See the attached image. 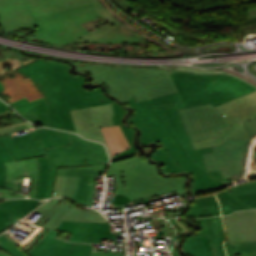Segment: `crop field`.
Wrapping results in <instances>:
<instances>
[{
    "label": "crop field",
    "instance_id": "crop-field-1",
    "mask_svg": "<svg viewBox=\"0 0 256 256\" xmlns=\"http://www.w3.org/2000/svg\"><path fill=\"white\" fill-rule=\"evenodd\" d=\"M47 62V63H45ZM70 67L59 62L38 59L22 68V76H30L32 82L44 97L29 102L22 98L12 104L21 116L43 126L75 131L69 110L112 103L115 125L120 124L131 148L112 157V161L133 156L136 149L133 144L135 130L124 126L121 119L127 113L121 105L106 97L101 87L88 92L84 89L87 78L72 75ZM48 103V105H46Z\"/></svg>",
    "mask_w": 256,
    "mask_h": 256
},
{
    "label": "crop field",
    "instance_id": "crop-field-2",
    "mask_svg": "<svg viewBox=\"0 0 256 256\" xmlns=\"http://www.w3.org/2000/svg\"><path fill=\"white\" fill-rule=\"evenodd\" d=\"M101 16L116 27L121 23L99 0H0V25L6 31L37 27V37L45 43L58 46L90 41L135 44L140 40L118 27L105 26L89 33L80 24Z\"/></svg>",
    "mask_w": 256,
    "mask_h": 256
},
{
    "label": "crop field",
    "instance_id": "crop-field-3",
    "mask_svg": "<svg viewBox=\"0 0 256 256\" xmlns=\"http://www.w3.org/2000/svg\"><path fill=\"white\" fill-rule=\"evenodd\" d=\"M181 102L178 93H172L135 103L134 97L126 103L137 114L130 120L141 129V144L159 141L161 147L151 158L165 165V171L194 174L193 193L202 194L224 187L231 178L222 179L219 171L207 172L203 153L212 152V147L194 150L177 107L156 110L155 106Z\"/></svg>",
    "mask_w": 256,
    "mask_h": 256
},
{
    "label": "crop field",
    "instance_id": "crop-field-4",
    "mask_svg": "<svg viewBox=\"0 0 256 256\" xmlns=\"http://www.w3.org/2000/svg\"><path fill=\"white\" fill-rule=\"evenodd\" d=\"M150 150L140 148L134 157L111 163L107 176L117 175L112 206L174 191L180 198L187 196L185 176L165 178L158 173L156 165L145 162L143 156Z\"/></svg>",
    "mask_w": 256,
    "mask_h": 256
},
{
    "label": "crop field",
    "instance_id": "crop-field-5",
    "mask_svg": "<svg viewBox=\"0 0 256 256\" xmlns=\"http://www.w3.org/2000/svg\"><path fill=\"white\" fill-rule=\"evenodd\" d=\"M76 71L90 73L93 84L104 82L110 94L125 103L133 94L140 101L177 91L169 76L171 71L163 69L87 65L76 67Z\"/></svg>",
    "mask_w": 256,
    "mask_h": 256
},
{
    "label": "crop field",
    "instance_id": "crop-field-6",
    "mask_svg": "<svg viewBox=\"0 0 256 256\" xmlns=\"http://www.w3.org/2000/svg\"><path fill=\"white\" fill-rule=\"evenodd\" d=\"M182 103L156 107L178 106L179 109L211 103L214 107L255 91L251 84L227 74L195 75L183 72L170 74ZM217 81H213V80Z\"/></svg>",
    "mask_w": 256,
    "mask_h": 256
},
{
    "label": "crop field",
    "instance_id": "crop-field-7",
    "mask_svg": "<svg viewBox=\"0 0 256 256\" xmlns=\"http://www.w3.org/2000/svg\"><path fill=\"white\" fill-rule=\"evenodd\" d=\"M72 145L46 149L51 166L48 196L52 197L57 168L108 163L104 146L71 134Z\"/></svg>",
    "mask_w": 256,
    "mask_h": 256
},
{
    "label": "crop field",
    "instance_id": "crop-field-8",
    "mask_svg": "<svg viewBox=\"0 0 256 256\" xmlns=\"http://www.w3.org/2000/svg\"><path fill=\"white\" fill-rule=\"evenodd\" d=\"M0 141L16 160L44 156L47 155L44 148L71 144L69 133L41 127L17 137L11 134L0 136Z\"/></svg>",
    "mask_w": 256,
    "mask_h": 256
},
{
    "label": "crop field",
    "instance_id": "crop-field-9",
    "mask_svg": "<svg viewBox=\"0 0 256 256\" xmlns=\"http://www.w3.org/2000/svg\"><path fill=\"white\" fill-rule=\"evenodd\" d=\"M219 113L232 126L220 129V137L192 143L194 148H203L221 144L228 137L249 139L242 121L256 117V91L216 107Z\"/></svg>",
    "mask_w": 256,
    "mask_h": 256
},
{
    "label": "crop field",
    "instance_id": "crop-field-10",
    "mask_svg": "<svg viewBox=\"0 0 256 256\" xmlns=\"http://www.w3.org/2000/svg\"><path fill=\"white\" fill-rule=\"evenodd\" d=\"M192 142L219 136V128L230 126L211 105L179 110Z\"/></svg>",
    "mask_w": 256,
    "mask_h": 256
},
{
    "label": "crop field",
    "instance_id": "crop-field-11",
    "mask_svg": "<svg viewBox=\"0 0 256 256\" xmlns=\"http://www.w3.org/2000/svg\"><path fill=\"white\" fill-rule=\"evenodd\" d=\"M61 198H52L35 212L42 214L33 224L56 230L62 220L109 222L99 211H82L61 203Z\"/></svg>",
    "mask_w": 256,
    "mask_h": 256
},
{
    "label": "crop field",
    "instance_id": "crop-field-12",
    "mask_svg": "<svg viewBox=\"0 0 256 256\" xmlns=\"http://www.w3.org/2000/svg\"><path fill=\"white\" fill-rule=\"evenodd\" d=\"M70 113L78 134L106 145L100 127L114 125L111 104L73 110Z\"/></svg>",
    "mask_w": 256,
    "mask_h": 256
},
{
    "label": "crop field",
    "instance_id": "crop-field-13",
    "mask_svg": "<svg viewBox=\"0 0 256 256\" xmlns=\"http://www.w3.org/2000/svg\"><path fill=\"white\" fill-rule=\"evenodd\" d=\"M249 140L228 138L219 146L213 147V153L205 154V165L208 171L220 170L222 177L239 174L242 150Z\"/></svg>",
    "mask_w": 256,
    "mask_h": 256
},
{
    "label": "crop field",
    "instance_id": "crop-field-14",
    "mask_svg": "<svg viewBox=\"0 0 256 256\" xmlns=\"http://www.w3.org/2000/svg\"><path fill=\"white\" fill-rule=\"evenodd\" d=\"M107 165L60 168L57 175L80 177L74 200L91 206L95 184L93 177L103 173Z\"/></svg>",
    "mask_w": 256,
    "mask_h": 256
},
{
    "label": "crop field",
    "instance_id": "crop-field-15",
    "mask_svg": "<svg viewBox=\"0 0 256 256\" xmlns=\"http://www.w3.org/2000/svg\"><path fill=\"white\" fill-rule=\"evenodd\" d=\"M58 229L73 233L69 240L73 242L98 243L100 238H115L108 223L62 221Z\"/></svg>",
    "mask_w": 256,
    "mask_h": 256
},
{
    "label": "crop field",
    "instance_id": "crop-field-16",
    "mask_svg": "<svg viewBox=\"0 0 256 256\" xmlns=\"http://www.w3.org/2000/svg\"><path fill=\"white\" fill-rule=\"evenodd\" d=\"M223 216L230 242L256 241V210Z\"/></svg>",
    "mask_w": 256,
    "mask_h": 256
},
{
    "label": "crop field",
    "instance_id": "crop-field-17",
    "mask_svg": "<svg viewBox=\"0 0 256 256\" xmlns=\"http://www.w3.org/2000/svg\"><path fill=\"white\" fill-rule=\"evenodd\" d=\"M188 221L200 223L203 230L200 234H208L214 256H226L223 240L225 238L221 216L206 219H191Z\"/></svg>",
    "mask_w": 256,
    "mask_h": 256
},
{
    "label": "crop field",
    "instance_id": "crop-field-18",
    "mask_svg": "<svg viewBox=\"0 0 256 256\" xmlns=\"http://www.w3.org/2000/svg\"><path fill=\"white\" fill-rule=\"evenodd\" d=\"M56 231L46 237V239L29 256H67L75 243L63 242L55 239Z\"/></svg>",
    "mask_w": 256,
    "mask_h": 256
},
{
    "label": "crop field",
    "instance_id": "crop-field-19",
    "mask_svg": "<svg viewBox=\"0 0 256 256\" xmlns=\"http://www.w3.org/2000/svg\"><path fill=\"white\" fill-rule=\"evenodd\" d=\"M101 130L103 132L111 156H114L115 154L130 148L119 125L104 127L101 128Z\"/></svg>",
    "mask_w": 256,
    "mask_h": 256
},
{
    "label": "crop field",
    "instance_id": "crop-field-20",
    "mask_svg": "<svg viewBox=\"0 0 256 256\" xmlns=\"http://www.w3.org/2000/svg\"><path fill=\"white\" fill-rule=\"evenodd\" d=\"M43 202L33 199H12L0 203V209L22 218Z\"/></svg>",
    "mask_w": 256,
    "mask_h": 256
},
{
    "label": "crop field",
    "instance_id": "crop-field-21",
    "mask_svg": "<svg viewBox=\"0 0 256 256\" xmlns=\"http://www.w3.org/2000/svg\"><path fill=\"white\" fill-rule=\"evenodd\" d=\"M182 249L190 256H213L207 235L189 237Z\"/></svg>",
    "mask_w": 256,
    "mask_h": 256
},
{
    "label": "crop field",
    "instance_id": "crop-field-22",
    "mask_svg": "<svg viewBox=\"0 0 256 256\" xmlns=\"http://www.w3.org/2000/svg\"><path fill=\"white\" fill-rule=\"evenodd\" d=\"M36 58L26 57L18 54L16 51L0 48V74L4 73L3 68L12 65V67H21L32 62Z\"/></svg>",
    "mask_w": 256,
    "mask_h": 256
},
{
    "label": "crop field",
    "instance_id": "crop-field-23",
    "mask_svg": "<svg viewBox=\"0 0 256 256\" xmlns=\"http://www.w3.org/2000/svg\"><path fill=\"white\" fill-rule=\"evenodd\" d=\"M37 161L39 165V179L36 189V198L45 199L50 178V167L45 156L37 158Z\"/></svg>",
    "mask_w": 256,
    "mask_h": 256
},
{
    "label": "crop field",
    "instance_id": "crop-field-24",
    "mask_svg": "<svg viewBox=\"0 0 256 256\" xmlns=\"http://www.w3.org/2000/svg\"><path fill=\"white\" fill-rule=\"evenodd\" d=\"M78 177L57 176L53 196H65L73 199Z\"/></svg>",
    "mask_w": 256,
    "mask_h": 256
},
{
    "label": "crop field",
    "instance_id": "crop-field-25",
    "mask_svg": "<svg viewBox=\"0 0 256 256\" xmlns=\"http://www.w3.org/2000/svg\"><path fill=\"white\" fill-rule=\"evenodd\" d=\"M10 109V107L0 100V113ZM13 156L8 152V150L3 146L0 142V186H4L5 184V164L4 162L14 161Z\"/></svg>",
    "mask_w": 256,
    "mask_h": 256
},
{
    "label": "crop field",
    "instance_id": "crop-field-26",
    "mask_svg": "<svg viewBox=\"0 0 256 256\" xmlns=\"http://www.w3.org/2000/svg\"><path fill=\"white\" fill-rule=\"evenodd\" d=\"M215 215H220L219 205L196 208V203H193L185 217H205Z\"/></svg>",
    "mask_w": 256,
    "mask_h": 256
},
{
    "label": "crop field",
    "instance_id": "crop-field-27",
    "mask_svg": "<svg viewBox=\"0 0 256 256\" xmlns=\"http://www.w3.org/2000/svg\"><path fill=\"white\" fill-rule=\"evenodd\" d=\"M220 203H231L235 211L251 209V207L247 206L236 196L229 193L227 190L216 194Z\"/></svg>",
    "mask_w": 256,
    "mask_h": 256
},
{
    "label": "crop field",
    "instance_id": "crop-field-28",
    "mask_svg": "<svg viewBox=\"0 0 256 256\" xmlns=\"http://www.w3.org/2000/svg\"><path fill=\"white\" fill-rule=\"evenodd\" d=\"M236 256H256V242L230 243Z\"/></svg>",
    "mask_w": 256,
    "mask_h": 256
},
{
    "label": "crop field",
    "instance_id": "crop-field-29",
    "mask_svg": "<svg viewBox=\"0 0 256 256\" xmlns=\"http://www.w3.org/2000/svg\"><path fill=\"white\" fill-rule=\"evenodd\" d=\"M1 249L7 251L11 256H28L20 250L12 241L0 235Z\"/></svg>",
    "mask_w": 256,
    "mask_h": 256
},
{
    "label": "crop field",
    "instance_id": "crop-field-30",
    "mask_svg": "<svg viewBox=\"0 0 256 256\" xmlns=\"http://www.w3.org/2000/svg\"><path fill=\"white\" fill-rule=\"evenodd\" d=\"M228 191L233 193L236 196L248 194L252 192L256 193V181L236 186L234 188L228 189Z\"/></svg>",
    "mask_w": 256,
    "mask_h": 256
},
{
    "label": "crop field",
    "instance_id": "crop-field-31",
    "mask_svg": "<svg viewBox=\"0 0 256 256\" xmlns=\"http://www.w3.org/2000/svg\"><path fill=\"white\" fill-rule=\"evenodd\" d=\"M47 229L46 228H43V227H39L37 230H35V235L33 237L30 238L29 242L24 245V244H21V243H17L15 240H13L12 238H10L9 236H7L5 233L2 234L4 235L5 237L9 238L10 240H12L16 245L19 244L20 246H22L25 250H29L33 245L34 243L43 235V233L46 231Z\"/></svg>",
    "mask_w": 256,
    "mask_h": 256
},
{
    "label": "crop field",
    "instance_id": "crop-field-32",
    "mask_svg": "<svg viewBox=\"0 0 256 256\" xmlns=\"http://www.w3.org/2000/svg\"><path fill=\"white\" fill-rule=\"evenodd\" d=\"M91 252V245L76 243L71 254L68 256H90Z\"/></svg>",
    "mask_w": 256,
    "mask_h": 256
},
{
    "label": "crop field",
    "instance_id": "crop-field-33",
    "mask_svg": "<svg viewBox=\"0 0 256 256\" xmlns=\"http://www.w3.org/2000/svg\"><path fill=\"white\" fill-rule=\"evenodd\" d=\"M10 111H12V109L3 112L0 115H3V114L8 113ZM22 124H25L27 126V128H32V127H36L37 126V125L30 124L28 122H24V123L15 124V125L7 126V127H2V128H0V135L16 132L17 130L15 129L14 126L22 125Z\"/></svg>",
    "mask_w": 256,
    "mask_h": 256
},
{
    "label": "crop field",
    "instance_id": "crop-field-34",
    "mask_svg": "<svg viewBox=\"0 0 256 256\" xmlns=\"http://www.w3.org/2000/svg\"><path fill=\"white\" fill-rule=\"evenodd\" d=\"M20 219L14 217V216H9L7 219H5L4 221H2L0 223V233L5 231L6 229L10 228L11 226H13L15 223H17Z\"/></svg>",
    "mask_w": 256,
    "mask_h": 256
},
{
    "label": "crop field",
    "instance_id": "crop-field-35",
    "mask_svg": "<svg viewBox=\"0 0 256 256\" xmlns=\"http://www.w3.org/2000/svg\"><path fill=\"white\" fill-rule=\"evenodd\" d=\"M197 207L219 204L215 195L196 200Z\"/></svg>",
    "mask_w": 256,
    "mask_h": 256
},
{
    "label": "crop field",
    "instance_id": "crop-field-36",
    "mask_svg": "<svg viewBox=\"0 0 256 256\" xmlns=\"http://www.w3.org/2000/svg\"><path fill=\"white\" fill-rule=\"evenodd\" d=\"M243 125L246 130H248L249 137L256 134V118L243 122ZM251 141V138H250Z\"/></svg>",
    "mask_w": 256,
    "mask_h": 256
},
{
    "label": "crop field",
    "instance_id": "crop-field-37",
    "mask_svg": "<svg viewBox=\"0 0 256 256\" xmlns=\"http://www.w3.org/2000/svg\"><path fill=\"white\" fill-rule=\"evenodd\" d=\"M238 198H240L243 202L250 205L251 207L256 208V195L254 193L239 196Z\"/></svg>",
    "mask_w": 256,
    "mask_h": 256
},
{
    "label": "crop field",
    "instance_id": "crop-field-38",
    "mask_svg": "<svg viewBox=\"0 0 256 256\" xmlns=\"http://www.w3.org/2000/svg\"><path fill=\"white\" fill-rule=\"evenodd\" d=\"M113 2L117 4L126 13L135 9L127 0H113Z\"/></svg>",
    "mask_w": 256,
    "mask_h": 256
},
{
    "label": "crop field",
    "instance_id": "crop-field-39",
    "mask_svg": "<svg viewBox=\"0 0 256 256\" xmlns=\"http://www.w3.org/2000/svg\"><path fill=\"white\" fill-rule=\"evenodd\" d=\"M256 22V8L247 9V19L243 23Z\"/></svg>",
    "mask_w": 256,
    "mask_h": 256
},
{
    "label": "crop field",
    "instance_id": "crop-field-40",
    "mask_svg": "<svg viewBox=\"0 0 256 256\" xmlns=\"http://www.w3.org/2000/svg\"><path fill=\"white\" fill-rule=\"evenodd\" d=\"M50 229H48L45 234L35 243V245L26 253L29 254L32 250H34L44 239L45 237L50 233Z\"/></svg>",
    "mask_w": 256,
    "mask_h": 256
},
{
    "label": "crop field",
    "instance_id": "crop-field-41",
    "mask_svg": "<svg viewBox=\"0 0 256 256\" xmlns=\"http://www.w3.org/2000/svg\"><path fill=\"white\" fill-rule=\"evenodd\" d=\"M222 214L234 212L230 204L221 205Z\"/></svg>",
    "mask_w": 256,
    "mask_h": 256
},
{
    "label": "crop field",
    "instance_id": "crop-field-42",
    "mask_svg": "<svg viewBox=\"0 0 256 256\" xmlns=\"http://www.w3.org/2000/svg\"><path fill=\"white\" fill-rule=\"evenodd\" d=\"M9 215H11V214L6 213V212L0 210V222L2 220H4L5 218H7Z\"/></svg>",
    "mask_w": 256,
    "mask_h": 256
},
{
    "label": "crop field",
    "instance_id": "crop-field-43",
    "mask_svg": "<svg viewBox=\"0 0 256 256\" xmlns=\"http://www.w3.org/2000/svg\"><path fill=\"white\" fill-rule=\"evenodd\" d=\"M225 248H226V251H227L228 256H233V255H232V252H231V248H230V244H229V243H226V244H225Z\"/></svg>",
    "mask_w": 256,
    "mask_h": 256
},
{
    "label": "crop field",
    "instance_id": "crop-field-44",
    "mask_svg": "<svg viewBox=\"0 0 256 256\" xmlns=\"http://www.w3.org/2000/svg\"><path fill=\"white\" fill-rule=\"evenodd\" d=\"M238 177H239V175H233L230 183L237 181Z\"/></svg>",
    "mask_w": 256,
    "mask_h": 256
},
{
    "label": "crop field",
    "instance_id": "crop-field-45",
    "mask_svg": "<svg viewBox=\"0 0 256 256\" xmlns=\"http://www.w3.org/2000/svg\"><path fill=\"white\" fill-rule=\"evenodd\" d=\"M177 212H168L169 217H176Z\"/></svg>",
    "mask_w": 256,
    "mask_h": 256
},
{
    "label": "crop field",
    "instance_id": "crop-field-46",
    "mask_svg": "<svg viewBox=\"0 0 256 256\" xmlns=\"http://www.w3.org/2000/svg\"><path fill=\"white\" fill-rule=\"evenodd\" d=\"M0 256H10L8 253L0 250Z\"/></svg>",
    "mask_w": 256,
    "mask_h": 256
},
{
    "label": "crop field",
    "instance_id": "crop-field-47",
    "mask_svg": "<svg viewBox=\"0 0 256 256\" xmlns=\"http://www.w3.org/2000/svg\"><path fill=\"white\" fill-rule=\"evenodd\" d=\"M16 128H17V130H20V129H25L26 127H25V125H22V126H17Z\"/></svg>",
    "mask_w": 256,
    "mask_h": 256
},
{
    "label": "crop field",
    "instance_id": "crop-field-48",
    "mask_svg": "<svg viewBox=\"0 0 256 256\" xmlns=\"http://www.w3.org/2000/svg\"><path fill=\"white\" fill-rule=\"evenodd\" d=\"M4 89L2 83H0V91H2Z\"/></svg>",
    "mask_w": 256,
    "mask_h": 256
},
{
    "label": "crop field",
    "instance_id": "crop-field-49",
    "mask_svg": "<svg viewBox=\"0 0 256 256\" xmlns=\"http://www.w3.org/2000/svg\"><path fill=\"white\" fill-rule=\"evenodd\" d=\"M172 256H181V255L178 253H173Z\"/></svg>",
    "mask_w": 256,
    "mask_h": 256
},
{
    "label": "crop field",
    "instance_id": "crop-field-50",
    "mask_svg": "<svg viewBox=\"0 0 256 256\" xmlns=\"http://www.w3.org/2000/svg\"><path fill=\"white\" fill-rule=\"evenodd\" d=\"M256 178V174H253V177H252V179H255Z\"/></svg>",
    "mask_w": 256,
    "mask_h": 256
}]
</instances>
